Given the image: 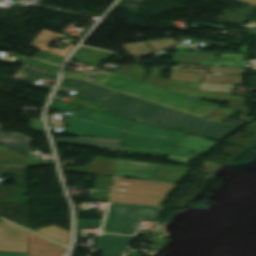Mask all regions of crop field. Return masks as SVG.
I'll return each instance as SVG.
<instances>
[{"label": "crop field", "mask_w": 256, "mask_h": 256, "mask_svg": "<svg viewBox=\"0 0 256 256\" xmlns=\"http://www.w3.org/2000/svg\"><path fill=\"white\" fill-rule=\"evenodd\" d=\"M49 107L68 112L74 109L79 110V107L55 101H52ZM68 122V134L122 139L121 144L125 145L205 154L218 144V142L189 135L181 138L185 133L86 109L68 118ZM156 143L176 147L161 146Z\"/></svg>", "instance_id": "8a807250"}, {"label": "crop field", "mask_w": 256, "mask_h": 256, "mask_svg": "<svg viewBox=\"0 0 256 256\" xmlns=\"http://www.w3.org/2000/svg\"><path fill=\"white\" fill-rule=\"evenodd\" d=\"M74 96L110 108L105 111V113L133 121L161 126L166 129L178 130L141 119L145 118L179 128L190 133L197 135L201 134V136L219 141L223 140L229 134L246 123L233 118L223 125L212 121L208 122V120L99 87L91 83L85 86L81 92H77Z\"/></svg>", "instance_id": "ac0d7876"}, {"label": "crop field", "mask_w": 256, "mask_h": 256, "mask_svg": "<svg viewBox=\"0 0 256 256\" xmlns=\"http://www.w3.org/2000/svg\"><path fill=\"white\" fill-rule=\"evenodd\" d=\"M96 84L205 117L219 105L100 70Z\"/></svg>", "instance_id": "34b2d1b8"}, {"label": "crop field", "mask_w": 256, "mask_h": 256, "mask_svg": "<svg viewBox=\"0 0 256 256\" xmlns=\"http://www.w3.org/2000/svg\"><path fill=\"white\" fill-rule=\"evenodd\" d=\"M175 185L115 177L109 202L159 205Z\"/></svg>", "instance_id": "412701ff"}, {"label": "crop field", "mask_w": 256, "mask_h": 256, "mask_svg": "<svg viewBox=\"0 0 256 256\" xmlns=\"http://www.w3.org/2000/svg\"><path fill=\"white\" fill-rule=\"evenodd\" d=\"M162 208L111 203L102 232L133 235L142 220L153 221Z\"/></svg>", "instance_id": "f4fd0767"}, {"label": "crop field", "mask_w": 256, "mask_h": 256, "mask_svg": "<svg viewBox=\"0 0 256 256\" xmlns=\"http://www.w3.org/2000/svg\"><path fill=\"white\" fill-rule=\"evenodd\" d=\"M0 251L27 253V231L6 221L0 222Z\"/></svg>", "instance_id": "dd49c442"}, {"label": "crop field", "mask_w": 256, "mask_h": 256, "mask_svg": "<svg viewBox=\"0 0 256 256\" xmlns=\"http://www.w3.org/2000/svg\"><path fill=\"white\" fill-rule=\"evenodd\" d=\"M161 165L118 159L114 176L151 179Z\"/></svg>", "instance_id": "e52e79f7"}, {"label": "crop field", "mask_w": 256, "mask_h": 256, "mask_svg": "<svg viewBox=\"0 0 256 256\" xmlns=\"http://www.w3.org/2000/svg\"><path fill=\"white\" fill-rule=\"evenodd\" d=\"M67 249L28 232V256H64Z\"/></svg>", "instance_id": "d8731c3e"}, {"label": "crop field", "mask_w": 256, "mask_h": 256, "mask_svg": "<svg viewBox=\"0 0 256 256\" xmlns=\"http://www.w3.org/2000/svg\"><path fill=\"white\" fill-rule=\"evenodd\" d=\"M133 237L104 234L97 238L95 249L103 250L102 256H122Z\"/></svg>", "instance_id": "5a996713"}, {"label": "crop field", "mask_w": 256, "mask_h": 256, "mask_svg": "<svg viewBox=\"0 0 256 256\" xmlns=\"http://www.w3.org/2000/svg\"><path fill=\"white\" fill-rule=\"evenodd\" d=\"M190 169L184 166L162 165L151 180L178 183Z\"/></svg>", "instance_id": "3316defc"}, {"label": "crop field", "mask_w": 256, "mask_h": 256, "mask_svg": "<svg viewBox=\"0 0 256 256\" xmlns=\"http://www.w3.org/2000/svg\"><path fill=\"white\" fill-rule=\"evenodd\" d=\"M53 37L64 39L65 35L42 30L41 33L37 36V38L32 43V46L46 52H50L56 55L66 57L69 53L68 51H71L75 45L69 44L68 47L65 48L64 50H62L64 47L60 49L47 48V45L50 43L49 41Z\"/></svg>", "instance_id": "28ad6ade"}, {"label": "crop field", "mask_w": 256, "mask_h": 256, "mask_svg": "<svg viewBox=\"0 0 256 256\" xmlns=\"http://www.w3.org/2000/svg\"><path fill=\"white\" fill-rule=\"evenodd\" d=\"M58 142L91 145L119 150L121 140L79 136L78 139H58Z\"/></svg>", "instance_id": "d1516ede"}, {"label": "crop field", "mask_w": 256, "mask_h": 256, "mask_svg": "<svg viewBox=\"0 0 256 256\" xmlns=\"http://www.w3.org/2000/svg\"><path fill=\"white\" fill-rule=\"evenodd\" d=\"M0 144L18 152H28L29 139L17 134H4L0 129Z\"/></svg>", "instance_id": "22f410ed"}, {"label": "crop field", "mask_w": 256, "mask_h": 256, "mask_svg": "<svg viewBox=\"0 0 256 256\" xmlns=\"http://www.w3.org/2000/svg\"><path fill=\"white\" fill-rule=\"evenodd\" d=\"M27 165L26 156L0 145V166Z\"/></svg>", "instance_id": "cbeb9de0"}, {"label": "crop field", "mask_w": 256, "mask_h": 256, "mask_svg": "<svg viewBox=\"0 0 256 256\" xmlns=\"http://www.w3.org/2000/svg\"><path fill=\"white\" fill-rule=\"evenodd\" d=\"M37 77H47V78H53L56 79L57 74L29 68L23 66L13 77L12 79L22 81V82H29Z\"/></svg>", "instance_id": "5142ce71"}, {"label": "crop field", "mask_w": 256, "mask_h": 256, "mask_svg": "<svg viewBox=\"0 0 256 256\" xmlns=\"http://www.w3.org/2000/svg\"><path fill=\"white\" fill-rule=\"evenodd\" d=\"M34 231L62 244L68 245L70 232L60 227L52 225Z\"/></svg>", "instance_id": "d9b57169"}, {"label": "crop field", "mask_w": 256, "mask_h": 256, "mask_svg": "<svg viewBox=\"0 0 256 256\" xmlns=\"http://www.w3.org/2000/svg\"><path fill=\"white\" fill-rule=\"evenodd\" d=\"M120 151L163 155V156H173V157H183V158H189V159H193L195 156H197L196 154H192V153L183 154V153H177V152L154 150V149L132 147V146H125V145H121Z\"/></svg>", "instance_id": "733c2abd"}, {"label": "crop field", "mask_w": 256, "mask_h": 256, "mask_svg": "<svg viewBox=\"0 0 256 256\" xmlns=\"http://www.w3.org/2000/svg\"><path fill=\"white\" fill-rule=\"evenodd\" d=\"M114 177L96 176L95 184L93 189L110 190Z\"/></svg>", "instance_id": "4a817a6b"}, {"label": "crop field", "mask_w": 256, "mask_h": 256, "mask_svg": "<svg viewBox=\"0 0 256 256\" xmlns=\"http://www.w3.org/2000/svg\"><path fill=\"white\" fill-rule=\"evenodd\" d=\"M34 58L41 59V60L51 62V63H54V64H58V65H62V62L64 60L63 57L56 56V55L46 53V52H43V51H41L36 56H34Z\"/></svg>", "instance_id": "bc2a9ffb"}, {"label": "crop field", "mask_w": 256, "mask_h": 256, "mask_svg": "<svg viewBox=\"0 0 256 256\" xmlns=\"http://www.w3.org/2000/svg\"><path fill=\"white\" fill-rule=\"evenodd\" d=\"M87 83H88L87 81L82 80V79H66V78H63L62 83L59 87L77 89L80 86H84Z\"/></svg>", "instance_id": "214f88e0"}, {"label": "crop field", "mask_w": 256, "mask_h": 256, "mask_svg": "<svg viewBox=\"0 0 256 256\" xmlns=\"http://www.w3.org/2000/svg\"><path fill=\"white\" fill-rule=\"evenodd\" d=\"M236 86L204 83L203 89L234 91Z\"/></svg>", "instance_id": "92a150f3"}, {"label": "crop field", "mask_w": 256, "mask_h": 256, "mask_svg": "<svg viewBox=\"0 0 256 256\" xmlns=\"http://www.w3.org/2000/svg\"><path fill=\"white\" fill-rule=\"evenodd\" d=\"M110 191L92 190L90 199L108 201Z\"/></svg>", "instance_id": "dafd665d"}, {"label": "crop field", "mask_w": 256, "mask_h": 256, "mask_svg": "<svg viewBox=\"0 0 256 256\" xmlns=\"http://www.w3.org/2000/svg\"><path fill=\"white\" fill-rule=\"evenodd\" d=\"M102 221L77 219V226L99 228Z\"/></svg>", "instance_id": "00972430"}, {"label": "crop field", "mask_w": 256, "mask_h": 256, "mask_svg": "<svg viewBox=\"0 0 256 256\" xmlns=\"http://www.w3.org/2000/svg\"><path fill=\"white\" fill-rule=\"evenodd\" d=\"M121 68L127 69V68H128V65L122 66ZM121 71H122V69H119L117 73L122 74ZM159 72H160V68L152 67V71H151V75H152V76L158 77V76H159Z\"/></svg>", "instance_id": "a9b5d70f"}, {"label": "crop field", "mask_w": 256, "mask_h": 256, "mask_svg": "<svg viewBox=\"0 0 256 256\" xmlns=\"http://www.w3.org/2000/svg\"><path fill=\"white\" fill-rule=\"evenodd\" d=\"M63 76L85 78V79L87 78L85 74H76V73H70V72H65Z\"/></svg>", "instance_id": "4177f3b9"}, {"label": "crop field", "mask_w": 256, "mask_h": 256, "mask_svg": "<svg viewBox=\"0 0 256 256\" xmlns=\"http://www.w3.org/2000/svg\"><path fill=\"white\" fill-rule=\"evenodd\" d=\"M0 256H27V254L0 252Z\"/></svg>", "instance_id": "730fd06b"}, {"label": "crop field", "mask_w": 256, "mask_h": 256, "mask_svg": "<svg viewBox=\"0 0 256 256\" xmlns=\"http://www.w3.org/2000/svg\"><path fill=\"white\" fill-rule=\"evenodd\" d=\"M237 1L256 6V0H237Z\"/></svg>", "instance_id": "eef30255"}, {"label": "crop field", "mask_w": 256, "mask_h": 256, "mask_svg": "<svg viewBox=\"0 0 256 256\" xmlns=\"http://www.w3.org/2000/svg\"><path fill=\"white\" fill-rule=\"evenodd\" d=\"M148 43L147 42H143V43H135V45L134 44H132V46L133 47H137V46H142V45H147Z\"/></svg>", "instance_id": "ae1a2a85"}, {"label": "crop field", "mask_w": 256, "mask_h": 256, "mask_svg": "<svg viewBox=\"0 0 256 256\" xmlns=\"http://www.w3.org/2000/svg\"><path fill=\"white\" fill-rule=\"evenodd\" d=\"M57 91L68 94L70 90L60 89V90H57Z\"/></svg>", "instance_id": "d3111659"}, {"label": "crop field", "mask_w": 256, "mask_h": 256, "mask_svg": "<svg viewBox=\"0 0 256 256\" xmlns=\"http://www.w3.org/2000/svg\"><path fill=\"white\" fill-rule=\"evenodd\" d=\"M125 256H142V255L125 254Z\"/></svg>", "instance_id": "750c4746"}]
</instances>
